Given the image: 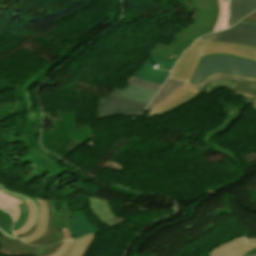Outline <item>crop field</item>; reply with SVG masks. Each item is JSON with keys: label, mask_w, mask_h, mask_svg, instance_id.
<instances>
[{"label": "crop field", "mask_w": 256, "mask_h": 256, "mask_svg": "<svg viewBox=\"0 0 256 256\" xmlns=\"http://www.w3.org/2000/svg\"><path fill=\"white\" fill-rule=\"evenodd\" d=\"M35 228H36V226L33 225L32 229L30 231H28V232H26L24 234H21V235H17V237L20 238V237L27 236V235L31 234L32 232H34Z\"/></svg>", "instance_id": "crop-field-29"}, {"label": "crop field", "mask_w": 256, "mask_h": 256, "mask_svg": "<svg viewBox=\"0 0 256 256\" xmlns=\"http://www.w3.org/2000/svg\"><path fill=\"white\" fill-rule=\"evenodd\" d=\"M199 10L198 17L189 27L175 36V40L167 45H159L150 52L153 55L177 61L181 53L198 37L211 32L218 16V0H190Z\"/></svg>", "instance_id": "crop-field-1"}, {"label": "crop field", "mask_w": 256, "mask_h": 256, "mask_svg": "<svg viewBox=\"0 0 256 256\" xmlns=\"http://www.w3.org/2000/svg\"><path fill=\"white\" fill-rule=\"evenodd\" d=\"M223 109V108H222ZM230 110L227 109H223V111L226 113L227 117L225 118V120L216 128L208 130L206 132V134L203 137V141L204 142H208L209 141V134L210 133H219L221 130L226 129V125L229 124V122L232 119H235L236 116H238L239 112H241V110H238L237 107H231L229 108Z\"/></svg>", "instance_id": "crop-field-18"}, {"label": "crop field", "mask_w": 256, "mask_h": 256, "mask_svg": "<svg viewBox=\"0 0 256 256\" xmlns=\"http://www.w3.org/2000/svg\"><path fill=\"white\" fill-rule=\"evenodd\" d=\"M0 228H2L3 230H5L6 232H8V233H10L8 230H6L4 227H2L1 225H0ZM11 235H13L12 233H10Z\"/></svg>", "instance_id": "crop-field-35"}, {"label": "crop field", "mask_w": 256, "mask_h": 256, "mask_svg": "<svg viewBox=\"0 0 256 256\" xmlns=\"http://www.w3.org/2000/svg\"><path fill=\"white\" fill-rule=\"evenodd\" d=\"M251 241L254 240L256 242V239H250Z\"/></svg>", "instance_id": "crop-field-37"}, {"label": "crop field", "mask_w": 256, "mask_h": 256, "mask_svg": "<svg viewBox=\"0 0 256 256\" xmlns=\"http://www.w3.org/2000/svg\"><path fill=\"white\" fill-rule=\"evenodd\" d=\"M127 82H131L133 84H136V85H139V86L151 89V90H155V91H158V89L160 87V85L149 83V82L139 80V79H136V78H133V77H131L129 80H127Z\"/></svg>", "instance_id": "crop-field-24"}, {"label": "crop field", "mask_w": 256, "mask_h": 256, "mask_svg": "<svg viewBox=\"0 0 256 256\" xmlns=\"http://www.w3.org/2000/svg\"><path fill=\"white\" fill-rule=\"evenodd\" d=\"M58 212H59V217H58V221H57V226L56 227H60V217H61V212L58 210ZM60 236H61V240H63V236H62V234H60Z\"/></svg>", "instance_id": "crop-field-32"}, {"label": "crop field", "mask_w": 256, "mask_h": 256, "mask_svg": "<svg viewBox=\"0 0 256 256\" xmlns=\"http://www.w3.org/2000/svg\"><path fill=\"white\" fill-rule=\"evenodd\" d=\"M0 190H2L3 192H5V193H7L9 195L17 197V198H19V199H21L23 201H25L27 199L32 201L34 203L35 209H36V215H35V221H34V224L36 225V220H37V216H38V204H37V202L34 199H32L31 197H28L26 195H23L21 193H16V192L9 191V190H7L6 186H4V185L0 186Z\"/></svg>", "instance_id": "crop-field-23"}, {"label": "crop field", "mask_w": 256, "mask_h": 256, "mask_svg": "<svg viewBox=\"0 0 256 256\" xmlns=\"http://www.w3.org/2000/svg\"><path fill=\"white\" fill-rule=\"evenodd\" d=\"M255 247V242H250L248 234H246L215 248L209 253V256H243L247 251Z\"/></svg>", "instance_id": "crop-field-8"}, {"label": "crop field", "mask_w": 256, "mask_h": 256, "mask_svg": "<svg viewBox=\"0 0 256 256\" xmlns=\"http://www.w3.org/2000/svg\"><path fill=\"white\" fill-rule=\"evenodd\" d=\"M233 90L256 96V84L238 81Z\"/></svg>", "instance_id": "crop-field-21"}, {"label": "crop field", "mask_w": 256, "mask_h": 256, "mask_svg": "<svg viewBox=\"0 0 256 256\" xmlns=\"http://www.w3.org/2000/svg\"><path fill=\"white\" fill-rule=\"evenodd\" d=\"M62 231H63L64 240H71V236L68 232V229H62Z\"/></svg>", "instance_id": "crop-field-28"}, {"label": "crop field", "mask_w": 256, "mask_h": 256, "mask_svg": "<svg viewBox=\"0 0 256 256\" xmlns=\"http://www.w3.org/2000/svg\"><path fill=\"white\" fill-rule=\"evenodd\" d=\"M206 40L237 42L256 46V26L235 25L230 29L201 37Z\"/></svg>", "instance_id": "crop-field-7"}, {"label": "crop field", "mask_w": 256, "mask_h": 256, "mask_svg": "<svg viewBox=\"0 0 256 256\" xmlns=\"http://www.w3.org/2000/svg\"><path fill=\"white\" fill-rule=\"evenodd\" d=\"M24 93H25V96H26V99H27V103H28V107H29L30 120H36L34 111L32 109L34 106H33L32 102L30 100L29 93H28V91H24Z\"/></svg>", "instance_id": "crop-field-27"}, {"label": "crop field", "mask_w": 256, "mask_h": 256, "mask_svg": "<svg viewBox=\"0 0 256 256\" xmlns=\"http://www.w3.org/2000/svg\"><path fill=\"white\" fill-rule=\"evenodd\" d=\"M239 23L240 24H246V25H256V21L241 20Z\"/></svg>", "instance_id": "crop-field-30"}, {"label": "crop field", "mask_w": 256, "mask_h": 256, "mask_svg": "<svg viewBox=\"0 0 256 256\" xmlns=\"http://www.w3.org/2000/svg\"><path fill=\"white\" fill-rule=\"evenodd\" d=\"M0 232L3 233L5 236L11 238V239H16L15 237H13V236L7 234L6 232H4L2 229H0Z\"/></svg>", "instance_id": "crop-field-33"}, {"label": "crop field", "mask_w": 256, "mask_h": 256, "mask_svg": "<svg viewBox=\"0 0 256 256\" xmlns=\"http://www.w3.org/2000/svg\"><path fill=\"white\" fill-rule=\"evenodd\" d=\"M98 101L97 117L99 119L114 115H137L147 106L112 94L106 98L101 97Z\"/></svg>", "instance_id": "crop-field-5"}, {"label": "crop field", "mask_w": 256, "mask_h": 256, "mask_svg": "<svg viewBox=\"0 0 256 256\" xmlns=\"http://www.w3.org/2000/svg\"><path fill=\"white\" fill-rule=\"evenodd\" d=\"M234 85H235V83H233V82H228V81H225V80H219V81L211 83L208 86V88L206 89L205 93H208V94L212 95V91H214L216 86H220V87H223L225 89H229V90L232 91ZM232 92H236V91H232ZM238 93H240V92H238ZM240 94H242V96H245L247 98V101H245V102L250 104V106H252V108H254V110L256 112V97H253V96H250V95H247V94H244V93H240ZM248 104H246V105H248Z\"/></svg>", "instance_id": "crop-field-16"}, {"label": "crop field", "mask_w": 256, "mask_h": 256, "mask_svg": "<svg viewBox=\"0 0 256 256\" xmlns=\"http://www.w3.org/2000/svg\"><path fill=\"white\" fill-rule=\"evenodd\" d=\"M39 203V216L37 220V229L27 237L21 238L22 241L28 243L41 237L47 230L48 205L47 202L40 199H35Z\"/></svg>", "instance_id": "crop-field-13"}, {"label": "crop field", "mask_w": 256, "mask_h": 256, "mask_svg": "<svg viewBox=\"0 0 256 256\" xmlns=\"http://www.w3.org/2000/svg\"><path fill=\"white\" fill-rule=\"evenodd\" d=\"M21 202L23 201L12 196H9L7 194H4L3 192L0 191V208L4 210L6 207H8L13 211L12 213H10V215L13 217L14 223L16 222L17 217L19 215V209L16 205Z\"/></svg>", "instance_id": "crop-field-17"}, {"label": "crop field", "mask_w": 256, "mask_h": 256, "mask_svg": "<svg viewBox=\"0 0 256 256\" xmlns=\"http://www.w3.org/2000/svg\"><path fill=\"white\" fill-rule=\"evenodd\" d=\"M11 228H12V225L11 226H9L8 228H6V229H8L9 231H11ZM12 232V231H11Z\"/></svg>", "instance_id": "crop-field-36"}, {"label": "crop field", "mask_w": 256, "mask_h": 256, "mask_svg": "<svg viewBox=\"0 0 256 256\" xmlns=\"http://www.w3.org/2000/svg\"><path fill=\"white\" fill-rule=\"evenodd\" d=\"M256 9V0H232L230 27Z\"/></svg>", "instance_id": "crop-field-12"}, {"label": "crop field", "mask_w": 256, "mask_h": 256, "mask_svg": "<svg viewBox=\"0 0 256 256\" xmlns=\"http://www.w3.org/2000/svg\"><path fill=\"white\" fill-rule=\"evenodd\" d=\"M25 202L29 207L28 220H27L26 224L21 229L16 230V231L13 232L14 235L24 233V232L30 230L31 227H32L33 220H34L35 209H34V206H33L32 202H30L29 200H27Z\"/></svg>", "instance_id": "crop-field-20"}, {"label": "crop field", "mask_w": 256, "mask_h": 256, "mask_svg": "<svg viewBox=\"0 0 256 256\" xmlns=\"http://www.w3.org/2000/svg\"><path fill=\"white\" fill-rule=\"evenodd\" d=\"M70 245H71V241H64L61 248L57 252H55L54 254H52L50 256H63L66 253V251Z\"/></svg>", "instance_id": "crop-field-26"}, {"label": "crop field", "mask_w": 256, "mask_h": 256, "mask_svg": "<svg viewBox=\"0 0 256 256\" xmlns=\"http://www.w3.org/2000/svg\"><path fill=\"white\" fill-rule=\"evenodd\" d=\"M95 234L84 236L73 241V245L65 256H84L87 249L94 240Z\"/></svg>", "instance_id": "crop-field-14"}, {"label": "crop field", "mask_w": 256, "mask_h": 256, "mask_svg": "<svg viewBox=\"0 0 256 256\" xmlns=\"http://www.w3.org/2000/svg\"><path fill=\"white\" fill-rule=\"evenodd\" d=\"M0 224L5 228L12 224L11 217L2 211H0Z\"/></svg>", "instance_id": "crop-field-25"}, {"label": "crop field", "mask_w": 256, "mask_h": 256, "mask_svg": "<svg viewBox=\"0 0 256 256\" xmlns=\"http://www.w3.org/2000/svg\"><path fill=\"white\" fill-rule=\"evenodd\" d=\"M18 208L20 209V215L17 222L14 224V230L21 228L25 224L28 215V207L25 202L19 204Z\"/></svg>", "instance_id": "crop-field-22"}, {"label": "crop field", "mask_w": 256, "mask_h": 256, "mask_svg": "<svg viewBox=\"0 0 256 256\" xmlns=\"http://www.w3.org/2000/svg\"><path fill=\"white\" fill-rule=\"evenodd\" d=\"M174 63V61L149 55L142 67L133 75V77L162 85L170 72L158 69L154 70L153 65L171 71Z\"/></svg>", "instance_id": "crop-field-6"}, {"label": "crop field", "mask_w": 256, "mask_h": 256, "mask_svg": "<svg viewBox=\"0 0 256 256\" xmlns=\"http://www.w3.org/2000/svg\"><path fill=\"white\" fill-rule=\"evenodd\" d=\"M219 5H220V11H219L218 20L212 32L226 28L228 3H224V0H219Z\"/></svg>", "instance_id": "crop-field-19"}, {"label": "crop field", "mask_w": 256, "mask_h": 256, "mask_svg": "<svg viewBox=\"0 0 256 256\" xmlns=\"http://www.w3.org/2000/svg\"><path fill=\"white\" fill-rule=\"evenodd\" d=\"M255 253H256V249H254V250H252V251L246 253L244 256H250V255H253V254H255Z\"/></svg>", "instance_id": "crop-field-34"}, {"label": "crop field", "mask_w": 256, "mask_h": 256, "mask_svg": "<svg viewBox=\"0 0 256 256\" xmlns=\"http://www.w3.org/2000/svg\"><path fill=\"white\" fill-rule=\"evenodd\" d=\"M218 72L256 78V62L228 54L203 56L200 58L190 82L198 84L206 77Z\"/></svg>", "instance_id": "crop-field-3"}, {"label": "crop field", "mask_w": 256, "mask_h": 256, "mask_svg": "<svg viewBox=\"0 0 256 256\" xmlns=\"http://www.w3.org/2000/svg\"><path fill=\"white\" fill-rule=\"evenodd\" d=\"M246 20H256V11L245 18Z\"/></svg>", "instance_id": "crop-field-31"}, {"label": "crop field", "mask_w": 256, "mask_h": 256, "mask_svg": "<svg viewBox=\"0 0 256 256\" xmlns=\"http://www.w3.org/2000/svg\"><path fill=\"white\" fill-rule=\"evenodd\" d=\"M93 214L106 226L112 228L124 219L113 216L108 203L101 199L87 198Z\"/></svg>", "instance_id": "crop-field-9"}, {"label": "crop field", "mask_w": 256, "mask_h": 256, "mask_svg": "<svg viewBox=\"0 0 256 256\" xmlns=\"http://www.w3.org/2000/svg\"><path fill=\"white\" fill-rule=\"evenodd\" d=\"M0 185H1V183H0Z\"/></svg>", "instance_id": "crop-field-38"}, {"label": "crop field", "mask_w": 256, "mask_h": 256, "mask_svg": "<svg viewBox=\"0 0 256 256\" xmlns=\"http://www.w3.org/2000/svg\"><path fill=\"white\" fill-rule=\"evenodd\" d=\"M183 82L175 81L168 79L164 86L159 90L156 98L153 100V102L145 109L148 110L149 108L154 107L156 104H158L162 99H164L166 96L171 94L173 91L181 87Z\"/></svg>", "instance_id": "crop-field-15"}, {"label": "crop field", "mask_w": 256, "mask_h": 256, "mask_svg": "<svg viewBox=\"0 0 256 256\" xmlns=\"http://www.w3.org/2000/svg\"><path fill=\"white\" fill-rule=\"evenodd\" d=\"M110 93L134 101L149 104L157 92L128 83V85L123 90L114 87Z\"/></svg>", "instance_id": "crop-field-11"}, {"label": "crop field", "mask_w": 256, "mask_h": 256, "mask_svg": "<svg viewBox=\"0 0 256 256\" xmlns=\"http://www.w3.org/2000/svg\"><path fill=\"white\" fill-rule=\"evenodd\" d=\"M256 256V255H255Z\"/></svg>", "instance_id": "crop-field-39"}, {"label": "crop field", "mask_w": 256, "mask_h": 256, "mask_svg": "<svg viewBox=\"0 0 256 256\" xmlns=\"http://www.w3.org/2000/svg\"><path fill=\"white\" fill-rule=\"evenodd\" d=\"M213 53H228L256 61V47L228 42L206 41L199 38L175 64L170 78L188 82L199 57Z\"/></svg>", "instance_id": "crop-field-2"}, {"label": "crop field", "mask_w": 256, "mask_h": 256, "mask_svg": "<svg viewBox=\"0 0 256 256\" xmlns=\"http://www.w3.org/2000/svg\"><path fill=\"white\" fill-rule=\"evenodd\" d=\"M218 79H225V80L233 81V82L240 80V81H245V82H255L256 83V79H253V78L241 77V76L225 74V73H218L213 76H210V77L206 78L203 82H201L199 85L185 83V84H183V86L181 88H179L178 90L173 92L171 95L166 97L154 108L150 109V113L147 115V117L164 114V113L196 98L200 94L201 90L204 87L209 85L212 81H215Z\"/></svg>", "instance_id": "crop-field-4"}, {"label": "crop field", "mask_w": 256, "mask_h": 256, "mask_svg": "<svg viewBox=\"0 0 256 256\" xmlns=\"http://www.w3.org/2000/svg\"><path fill=\"white\" fill-rule=\"evenodd\" d=\"M84 213V212H83ZM82 212L70 214L69 231L73 239L87 233H98L100 229L93 225Z\"/></svg>", "instance_id": "crop-field-10"}]
</instances>
